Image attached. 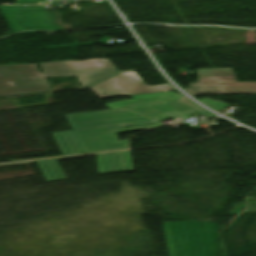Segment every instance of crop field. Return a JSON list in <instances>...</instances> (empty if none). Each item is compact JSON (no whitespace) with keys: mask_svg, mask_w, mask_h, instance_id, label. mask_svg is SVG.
I'll return each instance as SVG.
<instances>
[{"mask_svg":"<svg viewBox=\"0 0 256 256\" xmlns=\"http://www.w3.org/2000/svg\"><path fill=\"white\" fill-rule=\"evenodd\" d=\"M38 64L42 74L38 72L37 64L1 65L0 96L49 91L51 89L45 77L74 75L79 78L82 86H87L118 71L109 59Z\"/></svg>","mask_w":256,"mask_h":256,"instance_id":"1","label":"crop field"},{"mask_svg":"<svg viewBox=\"0 0 256 256\" xmlns=\"http://www.w3.org/2000/svg\"><path fill=\"white\" fill-rule=\"evenodd\" d=\"M169 256H214L216 223L162 222Z\"/></svg>","mask_w":256,"mask_h":256,"instance_id":"2","label":"crop field"},{"mask_svg":"<svg viewBox=\"0 0 256 256\" xmlns=\"http://www.w3.org/2000/svg\"><path fill=\"white\" fill-rule=\"evenodd\" d=\"M126 125L132 127L126 128ZM163 125L158 121H149L136 124L115 125L108 127L73 130L84 153L93 151L127 148V140L118 141L117 131L152 128Z\"/></svg>","mask_w":256,"mask_h":256,"instance_id":"3","label":"crop field"},{"mask_svg":"<svg viewBox=\"0 0 256 256\" xmlns=\"http://www.w3.org/2000/svg\"><path fill=\"white\" fill-rule=\"evenodd\" d=\"M197 73L198 83L184 89L190 94L256 93V82L237 83L230 68L199 69Z\"/></svg>","mask_w":256,"mask_h":256,"instance_id":"4","label":"crop field"},{"mask_svg":"<svg viewBox=\"0 0 256 256\" xmlns=\"http://www.w3.org/2000/svg\"><path fill=\"white\" fill-rule=\"evenodd\" d=\"M90 89L101 99L174 90L168 84L157 86L145 85L134 71L120 73L90 87ZM102 93H106V95H102Z\"/></svg>","mask_w":256,"mask_h":256,"instance_id":"5","label":"crop field"},{"mask_svg":"<svg viewBox=\"0 0 256 256\" xmlns=\"http://www.w3.org/2000/svg\"><path fill=\"white\" fill-rule=\"evenodd\" d=\"M0 11L13 32L61 29L44 7L0 6Z\"/></svg>","mask_w":256,"mask_h":256,"instance_id":"6","label":"crop field"},{"mask_svg":"<svg viewBox=\"0 0 256 256\" xmlns=\"http://www.w3.org/2000/svg\"><path fill=\"white\" fill-rule=\"evenodd\" d=\"M72 129L153 120L127 108L66 115Z\"/></svg>","mask_w":256,"mask_h":256,"instance_id":"7","label":"crop field"},{"mask_svg":"<svg viewBox=\"0 0 256 256\" xmlns=\"http://www.w3.org/2000/svg\"><path fill=\"white\" fill-rule=\"evenodd\" d=\"M130 109L158 121H161L168 117H171L173 119H176V118L185 119V118L193 117L191 115H201V114L208 115L211 118L215 117V115L201 109L196 104H194L193 102L185 98L181 100H176V101L130 107ZM195 113H198V114H195Z\"/></svg>","mask_w":256,"mask_h":256,"instance_id":"8","label":"crop field"},{"mask_svg":"<svg viewBox=\"0 0 256 256\" xmlns=\"http://www.w3.org/2000/svg\"><path fill=\"white\" fill-rule=\"evenodd\" d=\"M99 174L133 171L130 150L97 154Z\"/></svg>","mask_w":256,"mask_h":256,"instance_id":"9","label":"crop field"},{"mask_svg":"<svg viewBox=\"0 0 256 256\" xmlns=\"http://www.w3.org/2000/svg\"><path fill=\"white\" fill-rule=\"evenodd\" d=\"M133 99L115 101L105 103L108 109H114L118 107H129L135 105L156 103L162 101L176 100L183 98V95L176 93L174 91L153 93V94H144V95H135L132 96Z\"/></svg>","mask_w":256,"mask_h":256,"instance_id":"10","label":"crop field"},{"mask_svg":"<svg viewBox=\"0 0 256 256\" xmlns=\"http://www.w3.org/2000/svg\"><path fill=\"white\" fill-rule=\"evenodd\" d=\"M52 134L63 155L83 153L72 130Z\"/></svg>","mask_w":256,"mask_h":256,"instance_id":"11","label":"crop field"},{"mask_svg":"<svg viewBox=\"0 0 256 256\" xmlns=\"http://www.w3.org/2000/svg\"><path fill=\"white\" fill-rule=\"evenodd\" d=\"M81 156H84V155H81ZM81 156H74V157H81ZM74 157H67V158H74ZM67 158H60V159H67ZM60 159H47V160L37 161L47 181L66 178L65 174L63 173V171L61 170L60 166L56 161Z\"/></svg>","mask_w":256,"mask_h":256,"instance_id":"12","label":"crop field"},{"mask_svg":"<svg viewBox=\"0 0 256 256\" xmlns=\"http://www.w3.org/2000/svg\"><path fill=\"white\" fill-rule=\"evenodd\" d=\"M199 101H201L202 103H204L205 105L217 110V111H220L228 106H230L229 104L225 103V102H222L220 100H217V101H214L212 99H209V98H201L199 99Z\"/></svg>","mask_w":256,"mask_h":256,"instance_id":"13","label":"crop field"},{"mask_svg":"<svg viewBox=\"0 0 256 256\" xmlns=\"http://www.w3.org/2000/svg\"><path fill=\"white\" fill-rule=\"evenodd\" d=\"M45 0H17V4H39Z\"/></svg>","mask_w":256,"mask_h":256,"instance_id":"14","label":"crop field"},{"mask_svg":"<svg viewBox=\"0 0 256 256\" xmlns=\"http://www.w3.org/2000/svg\"><path fill=\"white\" fill-rule=\"evenodd\" d=\"M31 162H34V161H30V162H22V163H31ZM22 163H13V164H22ZM13 164H3V165H0V166H4V165H13Z\"/></svg>","mask_w":256,"mask_h":256,"instance_id":"15","label":"crop field"}]
</instances>
